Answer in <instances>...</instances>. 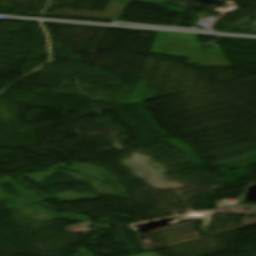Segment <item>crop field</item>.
Segmentation results:
<instances>
[{
    "instance_id": "1",
    "label": "crop field",
    "mask_w": 256,
    "mask_h": 256,
    "mask_svg": "<svg viewBox=\"0 0 256 256\" xmlns=\"http://www.w3.org/2000/svg\"><path fill=\"white\" fill-rule=\"evenodd\" d=\"M136 256H158L157 254H153L150 252L144 253V254H140V255H136Z\"/></svg>"
}]
</instances>
